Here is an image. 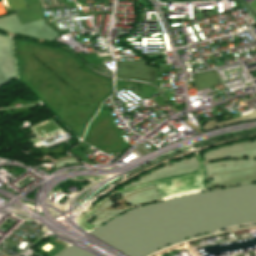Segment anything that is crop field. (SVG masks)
<instances>
[{"label": "crop field", "instance_id": "obj_1", "mask_svg": "<svg viewBox=\"0 0 256 256\" xmlns=\"http://www.w3.org/2000/svg\"><path fill=\"white\" fill-rule=\"evenodd\" d=\"M256 116V111L252 112V113H249V114H246L244 116H241V117H238V118H234V119H231V120H228V121H234V120H239V119H245V118H250V117H255ZM251 119H256L255 118H250V119H245V120H239V121H234V122H228V121H224V122H228V123H224V122H221V123H224V124H220L218 125L216 122H213L211 120H209L205 126L203 127L205 130L207 129H211V128H215V127H218V126H222V125H225V124H229V123H235V122H240V121H246V120H251Z\"/></svg>", "mask_w": 256, "mask_h": 256}]
</instances>
